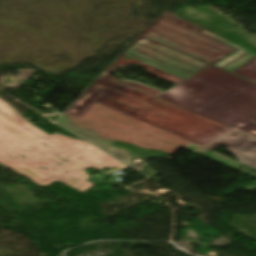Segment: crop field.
Returning a JSON list of instances; mask_svg holds the SVG:
<instances>
[{
	"mask_svg": "<svg viewBox=\"0 0 256 256\" xmlns=\"http://www.w3.org/2000/svg\"><path fill=\"white\" fill-rule=\"evenodd\" d=\"M232 73L256 82V58L236 69Z\"/></svg>",
	"mask_w": 256,
	"mask_h": 256,
	"instance_id": "crop-field-7",
	"label": "crop field"
},
{
	"mask_svg": "<svg viewBox=\"0 0 256 256\" xmlns=\"http://www.w3.org/2000/svg\"><path fill=\"white\" fill-rule=\"evenodd\" d=\"M157 98L256 136V84L208 67Z\"/></svg>",
	"mask_w": 256,
	"mask_h": 256,
	"instance_id": "crop-field-3",
	"label": "crop field"
},
{
	"mask_svg": "<svg viewBox=\"0 0 256 256\" xmlns=\"http://www.w3.org/2000/svg\"><path fill=\"white\" fill-rule=\"evenodd\" d=\"M222 144L235 154L240 162L256 168L255 138L235 131L207 148L214 150Z\"/></svg>",
	"mask_w": 256,
	"mask_h": 256,
	"instance_id": "crop-field-5",
	"label": "crop field"
},
{
	"mask_svg": "<svg viewBox=\"0 0 256 256\" xmlns=\"http://www.w3.org/2000/svg\"><path fill=\"white\" fill-rule=\"evenodd\" d=\"M0 164L41 186L59 180L81 192L94 185L85 169L128 168L88 142L48 135L1 98Z\"/></svg>",
	"mask_w": 256,
	"mask_h": 256,
	"instance_id": "crop-field-1",
	"label": "crop field"
},
{
	"mask_svg": "<svg viewBox=\"0 0 256 256\" xmlns=\"http://www.w3.org/2000/svg\"><path fill=\"white\" fill-rule=\"evenodd\" d=\"M255 57L256 54L242 48L213 65L231 72Z\"/></svg>",
	"mask_w": 256,
	"mask_h": 256,
	"instance_id": "crop-field-6",
	"label": "crop field"
},
{
	"mask_svg": "<svg viewBox=\"0 0 256 256\" xmlns=\"http://www.w3.org/2000/svg\"><path fill=\"white\" fill-rule=\"evenodd\" d=\"M143 36L214 62L239 46L166 11L124 55L189 77L209 64L142 39Z\"/></svg>",
	"mask_w": 256,
	"mask_h": 256,
	"instance_id": "crop-field-4",
	"label": "crop field"
},
{
	"mask_svg": "<svg viewBox=\"0 0 256 256\" xmlns=\"http://www.w3.org/2000/svg\"><path fill=\"white\" fill-rule=\"evenodd\" d=\"M159 93L103 74L59 119L72 124L92 102L107 106L206 146L235 131L155 98Z\"/></svg>",
	"mask_w": 256,
	"mask_h": 256,
	"instance_id": "crop-field-2",
	"label": "crop field"
}]
</instances>
